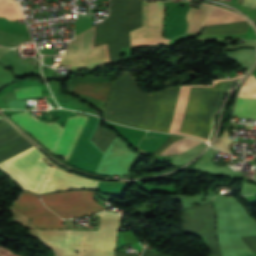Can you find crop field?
Instances as JSON below:
<instances>
[{
  "label": "crop field",
  "instance_id": "8a807250",
  "mask_svg": "<svg viewBox=\"0 0 256 256\" xmlns=\"http://www.w3.org/2000/svg\"><path fill=\"white\" fill-rule=\"evenodd\" d=\"M181 86L143 93L128 71L111 82L103 109L107 120L118 124L168 132Z\"/></svg>",
  "mask_w": 256,
  "mask_h": 256
},
{
  "label": "crop field",
  "instance_id": "ac0d7876",
  "mask_svg": "<svg viewBox=\"0 0 256 256\" xmlns=\"http://www.w3.org/2000/svg\"><path fill=\"white\" fill-rule=\"evenodd\" d=\"M10 117L38 139L51 153L61 135L53 154L55 153L65 161L87 118L81 115L69 118L64 130L59 124L50 123L59 135L49 123L40 122L34 116H30L28 112ZM137 159V153L129 150L128 144L116 137L105 151L95 173L108 176H114L115 174L123 176L129 172Z\"/></svg>",
  "mask_w": 256,
  "mask_h": 256
},
{
  "label": "crop field",
  "instance_id": "34b2d1b8",
  "mask_svg": "<svg viewBox=\"0 0 256 256\" xmlns=\"http://www.w3.org/2000/svg\"><path fill=\"white\" fill-rule=\"evenodd\" d=\"M99 216L98 231H37L38 236L59 256H113L120 215L105 211Z\"/></svg>",
  "mask_w": 256,
  "mask_h": 256
},
{
  "label": "crop field",
  "instance_id": "412701ff",
  "mask_svg": "<svg viewBox=\"0 0 256 256\" xmlns=\"http://www.w3.org/2000/svg\"><path fill=\"white\" fill-rule=\"evenodd\" d=\"M94 31L95 27L70 41L60 65H70V71H94L99 66L111 64L107 44L93 48Z\"/></svg>",
  "mask_w": 256,
  "mask_h": 256
},
{
  "label": "crop field",
  "instance_id": "f4fd0767",
  "mask_svg": "<svg viewBox=\"0 0 256 256\" xmlns=\"http://www.w3.org/2000/svg\"><path fill=\"white\" fill-rule=\"evenodd\" d=\"M45 157L34 147L0 163L9 173L30 191H38L49 166L42 161Z\"/></svg>",
  "mask_w": 256,
  "mask_h": 256
},
{
  "label": "crop field",
  "instance_id": "dd49c442",
  "mask_svg": "<svg viewBox=\"0 0 256 256\" xmlns=\"http://www.w3.org/2000/svg\"><path fill=\"white\" fill-rule=\"evenodd\" d=\"M183 233L199 236L207 245L211 256H221L215 235V214L212 202L182 211Z\"/></svg>",
  "mask_w": 256,
  "mask_h": 256
},
{
  "label": "crop field",
  "instance_id": "e52e79f7",
  "mask_svg": "<svg viewBox=\"0 0 256 256\" xmlns=\"http://www.w3.org/2000/svg\"><path fill=\"white\" fill-rule=\"evenodd\" d=\"M94 192L77 191L40 195L45 205L59 216L72 218L80 215L96 214L104 208L97 205L92 195Z\"/></svg>",
  "mask_w": 256,
  "mask_h": 256
},
{
  "label": "crop field",
  "instance_id": "d8731c3e",
  "mask_svg": "<svg viewBox=\"0 0 256 256\" xmlns=\"http://www.w3.org/2000/svg\"><path fill=\"white\" fill-rule=\"evenodd\" d=\"M13 209L30 217L36 228L63 229L61 218L45 208L34 194L23 192Z\"/></svg>",
  "mask_w": 256,
  "mask_h": 256
},
{
  "label": "crop field",
  "instance_id": "5a996713",
  "mask_svg": "<svg viewBox=\"0 0 256 256\" xmlns=\"http://www.w3.org/2000/svg\"><path fill=\"white\" fill-rule=\"evenodd\" d=\"M40 193L54 192L66 189L90 188L96 189L95 181L87 180L77 175L65 173L59 169L51 167Z\"/></svg>",
  "mask_w": 256,
  "mask_h": 256
},
{
  "label": "crop field",
  "instance_id": "3316defc",
  "mask_svg": "<svg viewBox=\"0 0 256 256\" xmlns=\"http://www.w3.org/2000/svg\"><path fill=\"white\" fill-rule=\"evenodd\" d=\"M147 2L143 1V27L130 32L133 45L167 44L169 39L162 37V25L146 26Z\"/></svg>",
  "mask_w": 256,
  "mask_h": 256
},
{
  "label": "crop field",
  "instance_id": "28ad6ade",
  "mask_svg": "<svg viewBox=\"0 0 256 256\" xmlns=\"http://www.w3.org/2000/svg\"><path fill=\"white\" fill-rule=\"evenodd\" d=\"M110 91V83H77L73 92L106 101Z\"/></svg>",
  "mask_w": 256,
  "mask_h": 256
},
{
  "label": "crop field",
  "instance_id": "d1516ede",
  "mask_svg": "<svg viewBox=\"0 0 256 256\" xmlns=\"http://www.w3.org/2000/svg\"><path fill=\"white\" fill-rule=\"evenodd\" d=\"M213 9L214 6L206 4H202L200 9L191 7V10L187 15L189 24L188 32L200 31Z\"/></svg>",
  "mask_w": 256,
  "mask_h": 256
},
{
  "label": "crop field",
  "instance_id": "22f410ed",
  "mask_svg": "<svg viewBox=\"0 0 256 256\" xmlns=\"http://www.w3.org/2000/svg\"><path fill=\"white\" fill-rule=\"evenodd\" d=\"M248 26L247 21L208 26L204 28L202 35L245 33Z\"/></svg>",
  "mask_w": 256,
  "mask_h": 256
},
{
  "label": "crop field",
  "instance_id": "cbeb9de0",
  "mask_svg": "<svg viewBox=\"0 0 256 256\" xmlns=\"http://www.w3.org/2000/svg\"><path fill=\"white\" fill-rule=\"evenodd\" d=\"M170 135L148 132L139 145V153L152 154Z\"/></svg>",
  "mask_w": 256,
  "mask_h": 256
},
{
  "label": "crop field",
  "instance_id": "5142ce71",
  "mask_svg": "<svg viewBox=\"0 0 256 256\" xmlns=\"http://www.w3.org/2000/svg\"><path fill=\"white\" fill-rule=\"evenodd\" d=\"M243 20L244 19L236 13L223 10L219 7H215V9L212 11L209 19L207 20L205 26L221 24V23L236 22V21H243Z\"/></svg>",
  "mask_w": 256,
  "mask_h": 256
},
{
  "label": "crop field",
  "instance_id": "d9b57169",
  "mask_svg": "<svg viewBox=\"0 0 256 256\" xmlns=\"http://www.w3.org/2000/svg\"><path fill=\"white\" fill-rule=\"evenodd\" d=\"M233 116L256 118V99L237 98Z\"/></svg>",
  "mask_w": 256,
  "mask_h": 256
},
{
  "label": "crop field",
  "instance_id": "733c2abd",
  "mask_svg": "<svg viewBox=\"0 0 256 256\" xmlns=\"http://www.w3.org/2000/svg\"><path fill=\"white\" fill-rule=\"evenodd\" d=\"M116 133L101 126V120L97 125L96 133L91 140L103 153L111 141L116 137Z\"/></svg>",
  "mask_w": 256,
  "mask_h": 256
},
{
  "label": "crop field",
  "instance_id": "4a817a6b",
  "mask_svg": "<svg viewBox=\"0 0 256 256\" xmlns=\"http://www.w3.org/2000/svg\"><path fill=\"white\" fill-rule=\"evenodd\" d=\"M200 142L184 137L176 142H174L172 145H170L165 151H163L162 155H172V154H178L182 153L195 145L199 144Z\"/></svg>",
  "mask_w": 256,
  "mask_h": 256
},
{
  "label": "crop field",
  "instance_id": "bc2a9ffb",
  "mask_svg": "<svg viewBox=\"0 0 256 256\" xmlns=\"http://www.w3.org/2000/svg\"><path fill=\"white\" fill-rule=\"evenodd\" d=\"M163 3L161 2H148V18L147 25L162 24Z\"/></svg>",
  "mask_w": 256,
  "mask_h": 256
},
{
  "label": "crop field",
  "instance_id": "214f88e0",
  "mask_svg": "<svg viewBox=\"0 0 256 256\" xmlns=\"http://www.w3.org/2000/svg\"><path fill=\"white\" fill-rule=\"evenodd\" d=\"M238 97H256V78L252 74L246 79Z\"/></svg>",
  "mask_w": 256,
  "mask_h": 256
},
{
  "label": "crop field",
  "instance_id": "92a150f3",
  "mask_svg": "<svg viewBox=\"0 0 256 256\" xmlns=\"http://www.w3.org/2000/svg\"><path fill=\"white\" fill-rule=\"evenodd\" d=\"M17 96L41 95L40 86L15 87Z\"/></svg>",
  "mask_w": 256,
  "mask_h": 256
},
{
  "label": "crop field",
  "instance_id": "dafd665d",
  "mask_svg": "<svg viewBox=\"0 0 256 256\" xmlns=\"http://www.w3.org/2000/svg\"><path fill=\"white\" fill-rule=\"evenodd\" d=\"M233 140L234 139H229V133L224 132L222 137L217 138L213 145L225 152H228Z\"/></svg>",
  "mask_w": 256,
  "mask_h": 256
},
{
  "label": "crop field",
  "instance_id": "00972430",
  "mask_svg": "<svg viewBox=\"0 0 256 256\" xmlns=\"http://www.w3.org/2000/svg\"><path fill=\"white\" fill-rule=\"evenodd\" d=\"M183 136H176L171 135L169 139L161 146L159 147L153 155L158 156L163 150H165L171 143H173L175 140L182 138Z\"/></svg>",
  "mask_w": 256,
  "mask_h": 256
},
{
  "label": "crop field",
  "instance_id": "a9b5d70f",
  "mask_svg": "<svg viewBox=\"0 0 256 256\" xmlns=\"http://www.w3.org/2000/svg\"><path fill=\"white\" fill-rule=\"evenodd\" d=\"M241 239L251 249L252 252H256V237H244Z\"/></svg>",
  "mask_w": 256,
  "mask_h": 256
},
{
  "label": "crop field",
  "instance_id": "4177f3b9",
  "mask_svg": "<svg viewBox=\"0 0 256 256\" xmlns=\"http://www.w3.org/2000/svg\"><path fill=\"white\" fill-rule=\"evenodd\" d=\"M143 256H164V255H161V254H158L154 251H151L149 249H145L144 253H143Z\"/></svg>",
  "mask_w": 256,
  "mask_h": 256
},
{
  "label": "crop field",
  "instance_id": "730fd06b",
  "mask_svg": "<svg viewBox=\"0 0 256 256\" xmlns=\"http://www.w3.org/2000/svg\"><path fill=\"white\" fill-rule=\"evenodd\" d=\"M235 0H231V2H234Z\"/></svg>",
  "mask_w": 256,
  "mask_h": 256
},
{
  "label": "crop field",
  "instance_id": "eef30255",
  "mask_svg": "<svg viewBox=\"0 0 256 256\" xmlns=\"http://www.w3.org/2000/svg\"><path fill=\"white\" fill-rule=\"evenodd\" d=\"M227 1H230V0H227Z\"/></svg>",
  "mask_w": 256,
  "mask_h": 256
}]
</instances>
